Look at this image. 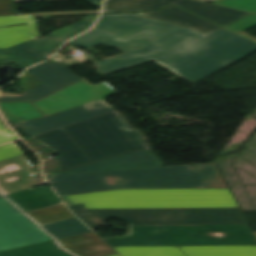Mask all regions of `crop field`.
I'll use <instances>...</instances> for the list:
<instances>
[{
	"label": "crop field",
	"instance_id": "8a807250",
	"mask_svg": "<svg viewBox=\"0 0 256 256\" xmlns=\"http://www.w3.org/2000/svg\"><path fill=\"white\" fill-rule=\"evenodd\" d=\"M113 37L152 46L96 62L99 74L154 60L194 84L256 51L255 42L224 28L204 36L133 14L102 15L92 31L70 43L88 49Z\"/></svg>",
	"mask_w": 256,
	"mask_h": 256
},
{
	"label": "crop field",
	"instance_id": "ac0d7876",
	"mask_svg": "<svg viewBox=\"0 0 256 256\" xmlns=\"http://www.w3.org/2000/svg\"><path fill=\"white\" fill-rule=\"evenodd\" d=\"M124 121L114 111L83 122L52 130L33 138L58 155L60 171L128 152L145 150L142 139L126 132Z\"/></svg>",
	"mask_w": 256,
	"mask_h": 256
},
{
	"label": "crop field",
	"instance_id": "34b2d1b8",
	"mask_svg": "<svg viewBox=\"0 0 256 256\" xmlns=\"http://www.w3.org/2000/svg\"><path fill=\"white\" fill-rule=\"evenodd\" d=\"M59 196L121 188H212L226 187L215 164L199 170L187 166L146 167L52 175Z\"/></svg>",
	"mask_w": 256,
	"mask_h": 256
},
{
	"label": "crop field",
	"instance_id": "412701ff",
	"mask_svg": "<svg viewBox=\"0 0 256 256\" xmlns=\"http://www.w3.org/2000/svg\"><path fill=\"white\" fill-rule=\"evenodd\" d=\"M61 198L87 209L238 207L229 189H121Z\"/></svg>",
	"mask_w": 256,
	"mask_h": 256
},
{
	"label": "crop field",
	"instance_id": "f4fd0767",
	"mask_svg": "<svg viewBox=\"0 0 256 256\" xmlns=\"http://www.w3.org/2000/svg\"><path fill=\"white\" fill-rule=\"evenodd\" d=\"M125 236L105 239L110 246L256 245L249 225H129ZM223 233L224 237L208 234Z\"/></svg>",
	"mask_w": 256,
	"mask_h": 256
},
{
	"label": "crop field",
	"instance_id": "dd49c442",
	"mask_svg": "<svg viewBox=\"0 0 256 256\" xmlns=\"http://www.w3.org/2000/svg\"><path fill=\"white\" fill-rule=\"evenodd\" d=\"M170 4H175L221 26L250 14L194 0H106L103 12L139 11L137 14L188 27L204 35L221 28L174 6L159 11L141 13V11L160 9Z\"/></svg>",
	"mask_w": 256,
	"mask_h": 256
},
{
	"label": "crop field",
	"instance_id": "e52e79f7",
	"mask_svg": "<svg viewBox=\"0 0 256 256\" xmlns=\"http://www.w3.org/2000/svg\"><path fill=\"white\" fill-rule=\"evenodd\" d=\"M71 209L90 228L109 218L128 224H247L240 209L86 210L82 205Z\"/></svg>",
	"mask_w": 256,
	"mask_h": 256
},
{
	"label": "crop field",
	"instance_id": "d8731c3e",
	"mask_svg": "<svg viewBox=\"0 0 256 256\" xmlns=\"http://www.w3.org/2000/svg\"><path fill=\"white\" fill-rule=\"evenodd\" d=\"M48 240L52 237L0 197V251Z\"/></svg>",
	"mask_w": 256,
	"mask_h": 256
},
{
	"label": "crop field",
	"instance_id": "5a996713",
	"mask_svg": "<svg viewBox=\"0 0 256 256\" xmlns=\"http://www.w3.org/2000/svg\"><path fill=\"white\" fill-rule=\"evenodd\" d=\"M26 71L43 84L19 95L0 91V102L30 101L33 103L80 80L78 76L64 65L53 64L49 61L32 67Z\"/></svg>",
	"mask_w": 256,
	"mask_h": 256
},
{
	"label": "crop field",
	"instance_id": "3316defc",
	"mask_svg": "<svg viewBox=\"0 0 256 256\" xmlns=\"http://www.w3.org/2000/svg\"><path fill=\"white\" fill-rule=\"evenodd\" d=\"M116 93L105 82L92 86L86 80H80L34 103V105L47 116Z\"/></svg>",
	"mask_w": 256,
	"mask_h": 256
},
{
	"label": "crop field",
	"instance_id": "28ad6ade",
	"mask_svg": "<svg viewBox=\"0 0 256 256\" xmlns=\"http://www.w3.org/2000/svg\"><path fill=\"white\" fill-rule=\"evenodd\" d=\"M31 168L24 155L0 161V193L5 196L39 185Z\"/></svg>",
	"mask_w": 256,
	"mask_h": 256
},
{
	"label": "crop field",
	"instance_id": "d1516ede",
	"mask_svg": "<svg viewBox=\"0 0 256 256\" xmlns=\"http://www.w3.org/2000/svg\"><path fill=\"white\" fill-rule=\"evenodd\" d=\"M146 166H163V164L161 160L158 157L154 156L150 150H145L94 162L60 173Z\"/></svg>",
	"mask_w": 256,
	"mask_h": 256
},
{
	"label": "crop field",
	"instance_id": "22f410ed",
	"mask_svg": "<svg viewBox=\"0 0 256 256\" xmlns=\"http://www.w3.org/2000/svg\"><path fill=\"white\" fill-rule=\"evenodd\" d=\"M89 118L93 116L79 106L44 118L16 124V126L30 137Z\"/></svg>",
	"mask_w": 256,
	"mask_h": 256
},
{
	"label": "crop field",
	"instance_id": "cbeb9de0",
	"mask_svg": "<svg viewBox=\"0 0 256 256\" xmlns=\"http://www.w3.org/2000/svg\"><path fill=\"white\" fill-rule=\"evenodd\" d=\"M60 246L76 256H109L116 254L94 232L58 239Z\"/></svg>",
	"mask_w": 256,
	"mask_h": 256
},
{
	"label": "crop field",
	"instance_id": "5142ce71",
	"mask_svg": "<svg viewBox=\"0 0 256 256\" xmlns=\"http://www.w3.org/2000/svg\"><path fill=\"white\" fill-rule=\"evenodd\" d=\"M35 21L33 16H5L0 17V49H5L24 42L26 39L37 36L35 24L12 26L7 25L29 23Z\"/></svg>",
	"mask_w": 256,
	"mask_h": 256
},
{
	"label": "crop field",
	"instance_id": "d9b57169",
	"mask_svg": "<svg viewBox=\"0 0 256 256\" xmlns=\"http://www.w3.org/2000/svg\"><path fill=\"white\" fill-rule=\"evenodd\" d=\"M5 198L23 212L61 203L48 186H36Z\"/></svg>",
	"mask_w": 256,
	"mask_h": 256
},
{
	"label": "crop field",
	"instance_id": "733c2abd",
	"mask_svg": "<svg viewBox=\"0 0 256 256\" xmlns=\"http://www.w3.org/2000/svg\"><path fill=\"white\" fill-rule=\"evenodd\" d=\"M67 39L48 35L6 49L4 52L31 56L40 62L50 56Z\"/></svg>",
	"mask_w": 256,
	"mask_h": 256
},
{
	"label": "crop field",
	"instance_id": "4a817a6b",
	"mask_svg": "<svg viewBox=\"0 0 256 256\" xmlns=\"http://www.w3.org/2000/svg\"><path fill=\"white\" fill-rule=\"evenodd\" d=\"M186 256H256V246H178Z\"/></svg>",
	"mask_w": 256,
	"mask_h": 256
},
{
	"label": "crop field",
	"instance_id": "bc2a9ffb",
	"mask_svg": "<svg viewBox=\"0 0 256 256\" xmlns=\"http://www.w3.org/2000/svg\"><path fill=\"white\" fill-rule=\"evenodd\" d=\"M0 112L13 124L44 117V115L30 102L0 103Z\"/></svg>",
	"mask_w": 256,
	"mask_h": 256
},
{
	"label": "crop field",
	"instance_id": "214f88e0",
	"mask_svg": "<svg viewBox=\"0 0 256 256\" xmlns=\"http://www.w3.org/2000/svg\"><path fill=\"white\" fill-rule=\"evenodd\" d=\"M122 256H185L177 246L115 247Z\"/></svg>",
	"mask_w": 256,
	"mask_h": 256
},
{
	"label": "crop field",
	"instance_id": "92a150f3",
	"mask_svg": "<svg viewBox=\"0 0 256 256\" xmlns=\"http://www.w3.org/2000/svg\"><path fill=\"white\" fill-rule=\"evenodd\" d=\"M0 256H72L58 248L54 241L28 246L6 252Z\"/></svg>",
	"mask_w": 256,
	"mask_h": 256
},
{
	"label": "crop field",
	"instance_id": "dafd665d",
	"mask_svg": "<svg viewBox=\"0 0 256 256\" xmlns=\"http://www.w3.org/2000/svg\"><path fill=\"white\" fill-rule=\"evenodd\" d=\"M42 227L55 239L90 231L77 218L47 224Z\"/></svg>",
	"mask_w": 256,
	"mask_h": 256
},
{
	"label": "crop field",
	"instance_id": "00972430",
	"mask_svg": "<svg viewBox=\"0 0 256 256\" xmlns=\"http://www.w3.org/2000/svg\"><path fill=\"white\" fill-rule=\"evenodd\" d=\"M26 215L39 226L74 217L64 205L27 213Z\"/></svg>",
	"mask_w": 256,
	"mask_h": 256
},
{
	"label": "crop field",
	"instance_id": "a9b5d70f",
	"mask_svg": "<svg viewBox=\"0 0 256 256\" xmlns=\"http://www.w3.org/2000/svg\"><path fill=\"white\" fill-rule=\"evenodd\" d=\"M98 17V15H90L88 17H86L84 20H82L81 22L74 24L70 27H67L65 29L56 31V32H52V34H57V35H62V36H66V37H73L85 30H87L92 23L95 21V19Z\"/></svg>",
	"mask_w": 256,
	"mask_h": 256
},
{
	"label": "crop field",
	"instance_id": "4177f3b9",
	"mask_svg": "<svg viewBox=\"0 0 256 256\" xmlns=\"http://www.w3.org/2000/svg\"><path fill=\"white\" fill-rule=\"evenodd\" d=\"M214 3L256 13V0H220Z\"/></svg>",
	"mask_w": 256,
	"mask_h": 256
},
{
	"label": "crop field",
	"instance_id": "730fd06b",
	"mask_svg": "<svg viewBox=\"0 0 256 256\" xmlns=\"http://www.w3.org/2000/svg\"><path fill=\"white\" fill-rule=\"evenodd\" d=\"M1 63H15L23 68L37 63L31 57H26L22 55H13L3 53V50H0V64Z\"/></svg>",
	"mask_w": 256,
	"mask_h": 256
},
{
	"label": "crop field",
	"instance_id": "eef30255",
	"mask_svg": "<svg viewBox=\"0 0 256 256\" xmlns=\"http://www.w3.org/2000/svg\"><path fill=\"white\" fill-rule=\"evenodd\" d=\"M101 44L117 47L125 52L149 46V45L127 41L119 38H114L109 41L103 42Z\"/></svg>",
	"mask_w": 256,
	"mask_h": 256
},
{
	"label": "crop field",
	"instance_id": "ae1a2a85",
	"mask_svg": "<svg viewBox=\"0 0 256 256\" xmlns=\"http://www.w3.org/2000/svg\"><path fill=\"white\" fill-rule=\"evenodd\" d=\"M256 25V15L254 14H250L238 21H235L227 26H225L226 28L239 33L245 29H248L252 26Z\"/></svg>",
	"mask_w": 256,
	"mask_h": 256
},
{
	"label": "crop field",
	"instance_id": "d3111659",
	"mask_svg": "<svg viewBox=\"0 0 256 256\" xmlns=\"http://www.w3.org/2000/svg\"><path fill=\"white\" fill-rule=\"evenodd\" d=\"M82 107L85 108L94 117L114 111V109H112L102 100L83 105Z\"/></svg>",
	"mask_w": 256,
	"mask_h": 256
},
{
	"label": "crop field",
	"instance_id": "750c4746",
	"mask_svg": "<svg viewBox=\"0 0 256 256\" xmlns=\"http://www.w3.org/2000/svg\"><path fill=\"white\" fill-rule=\"evenodd\" d=\"M28 72V71H27ZM26 71L18 78L20 79V88L23 90L19 93H23L39 84H41V82H39L37 79H35L33 76H31L29 73H27Z\"/></svg>",
	"mask_w": 256,
	"mask_h": 256
},
{
	"label": "crop field",
	"instance_id": "bd1437ed",
	"mask_svg": "<svg viewBox=\"0 0 256 256\" xmlns=\"http://www.w3.org/2000/svg\"><path fill=\"white\" fill-rule=\"evenodd\" d=\"M21 154H23V152L14 143H9L0 147V160Z\"/></svg>",
	"mask_w": 256,
	"mask_h": 256
},
{
	"label": "crop field",
	"instance_id": "1d83c4d3",
	"mask_svg": "<svg viewBox=\"0 0 256 256\" xmlns=\"http://www.w3.org/2000/svg\"><path fill=\"white\" fill-rule=\"evenodd\" d=\"M16 14L13 0H0V15Z\"/></svg>",
	"mask_w": 256,
	"mask_h": 256
},
{
	"label": "crop field",
	"instance_id": "120bbe31",
	"mask_svg": "<svg viewBox=\"0 0 256 256\" xmlns=\"http://www.w3.org/2000/svg\"><path fill=\"white\" fill-rule=\"evenodd\" d=\"M18 137L9 131L0 130V144L7 141L17 140Z\"/></svg>",
	"mask_w": 256,
	"mask_h": 256
},
{
	"label": "crop field",
	"instance_id": "d32e631a",
	"mask_svg": "<svg viewBox=\"0 0 256 256\" xmlns=\"http://www.w3.org/2000/svg\"><path fill=\"white\" fill-rule=\"evenodd\" d=\"M117 112V111H116ZM118 113V112H117ZM118 115L125 121V123L128 125V126H126V127H124V129L126 130V131H130V130H134L140 137H141V135H140V133L137 131V130H135L133 127H131L128 123H127V121L118 113ZM142 138V137H141ZM143 139V138H142ZM144 141V140H143ZM145 142V141H144ZM146 144V143H145ZM146 146L148 147V145L146 144ZM148 149H150L149 147H148Z\"/></svg>",
	"mask_w": 256,
	"mask_h": 256
},
{
	"label": "crop field",
	"instance_id": "5866460e",
	"mask_svg": "<svg viewBox=\"0 0 256 256\" xmlns=\"http://www.w3.org/2000/svg\"><path fill=\"white\" fill-rule=\"evenodd\" d=\"M84 1H87L93 5H96V6H100L102 0H84Z\"/></svg>",
	"mask_w": 256,
	"mask_h": 256
},
{
	"label": "crop field",
	"instance_id": "028f5c9d",
	"mask_svg": "<svg viewBox=\"0 0 256 256\" xmlns=\"http://www.w3.org/2000/svg\"><path fill=\"white\" fill-rule=\"evenodd\" d=\"M0 129H2V130H9V131H11L3 122H2V120L0 119Z\"/></svg>",
	"mask_w": 256,
	"mask_h": 256
},
{
	"label": "crop field",
	"instance_id": "e1f06a70",
	"mask_svg": "<svg viewBox=\"0 0 256 256\" xmlns=\"http://www.w3.org/2000/svg\"><path fill=\"white\" fill-rule=\"evenodd\" d=\"M16 2H21V1H55V0H14Z\"/></svg>",
	"mask_w": 256,
	"mask_h": 256
},
{
	"label": "crop field",
	"instance_id": "0bd39190",
	"mask_svg": "<svg viewBox=\"0 0 256 256\" xmlns=\"http://www.w3.org/2000/svg\"><path fill=\"white\" fill-rule=\"evenodd\" d=\"M199 1L207 2V1H212V0H199Z\"/></svg>",
	"mask_w": 256,
	"mask_h": 256
},
{
	"label": "crop field",
	"instance_id": "b80d0937",
	"mask_svg": "<svg viewBox=\"0 0 256 256\" xmlns=\"http://www.w3.org/2000/svg\"><path fill=\"white\" fill-rule=\"evenodd\" d=\"M113 256H121V255H119V254H116V255H113Z\"/></svg>",
	"mask_w": 256,
	"mask_h": 256
},
{
	"label": "crop field",
	"instance_id": "c035e120",
	"mask_svg": "<svg viewBox=\"0 0 256 256\" xmlns=\"http://www.w3.org/2000/svg\"><path fill=\"white\" fill-rule=\"evenodd\" d=\"M254 234H256V232H253Z\"/></svg>",
	"mask_w": 256,
	"mask_h": 256
},
{
	"label": "crop field",
	"instance_id": "c21b1889",
	"mask_svg": "<svg viewBox=\"0 0 256 256\" xmlns=\"http://www.w3.org/2000/svg\"><path fill=\"white\" fill-rule=\"evenodd\" d=\"M255 237H256V235H255Z\"/></svg>",
	"mask_w": 256,
	"mask_h": 256
}]
</instances>
